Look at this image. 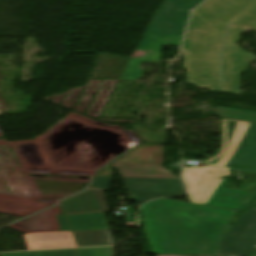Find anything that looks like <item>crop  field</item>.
<instances>
[{
    "instance_id": "1",
    "label": "crop field",
    "mask_w": 256,
    "mask_h": 256,
    "mask_svg": "<svg viewBox=\"0 0 256 256\" xmlns=\"http://www.w3.org/2000/svg\"><path fill=\"white\" fill-rule=\"evenodd\" d=\"M228 23L220 89V53ZM246 24L256 29V0H208L193 11L182 48L189 83L240 94L239 73L253 60L252 54L237 46L242 31L239 26Z\"/></svg>"
},
{
    "instance_id": "2",
    "label": "crop field",
    "mask_w": 256,
    "mask_h": 256,
    "mask_svg": "<svg viewBox=\"0 0 256 256\" xmlns=\"http://www.w3.org/2000/svg\"><path fill=\"white\" fill-rule=\"evenodd\" d=\"M153 254L218 255L234 211L160 199L141 208Z\"/></svg>"
},
{
    "instance_id": "3",
    "label": "crop field",
    "mask_w": 256,
    "mask_h": 256,
    "mask_svg": "<svg viewBox=\"0 0 256 256\" xmlns=\"http://www.w3.org/2000/svg\"><path fill=\"white\" fill-rule=\"evenodd\" d=\"M203 0H166L154 15L136 50L147 51L146 56L130 60L120 80H136L141 77V63H159L161 49L165 45L179 47L187 23V9H193Z\"/></svg>"
},
{
    "instance_id": "4",
    "label": "crop field",
    "mask_w": 256,
    "mask_h": 256,
    "mask_svg": "<svg viewBox=\"0 0 256 256\" xmlns=\"http://www.w3.org/2000/svg\"><path fill=\"white\" fill-rule=\"evenodd\" d=\"M209 171H212L209 174ZM224 176H231L229 171L193 166L183 169V178L188 189L189 201L234 211H242V205L251 193L227 188Z\"/></svg>"
},
{
    "instance_id": "5",
    "label": "crop field",
    "mask_w": 256,
    "mask_h": 256,
    "mask_svg": "<svg viewBox=\"0 0 256 256\" xmlns=\"http://www.w3.org/2000/svg\"><path fill=\"white\" fill-rule=\"evenodd\" d=\"M223 120L219 154L198 166L256 173V123ZM233 163L249 165L248 170L231 168Z\"/></svg>"
},
{
    "instance_id": "6",
    "label": "crop field",
    "mask_w": 256,
    "mask_h": 256,
    "mask_svg": "<svg viewBox=\"0 0 256 256\" xmlns=\"http://www.w3.org/2000/svg\"><path fill=\"white\" fill-rule=\"evenodd\" d=\"M164 147L162 145H140L97 176H113L117 167L121 177L178 178L161 165Z\"/></svg>"
},
{
    "instance_id": "7",
    "label": "crop field",
    "mask_w": 256,
    "mask_h": 256,
    "mask_svg": "<svg viewBox=\"0 0 256 256\" xmlns=\"http://www.w3.org/2000/svg\"><path fill=\"white\" fill-rule=\"evenodd\" d=\"M219 255L256 256V208L242 214L224 235Z\"/></svg>"
},
{
    "instance_id": "8",
    "label": "crop field",
    "mask_w": 256,
    "mask_h": 256,
    "mask_svg": "<svg viewBox=\"0 0 256 256\" xmlns=\"http://www.w3.org/2000/svg\"><path fill=\"white\" fill-rule=\"evenodd\" d=\"M124 183L131 201L135 202L180 196L185 193L180 180L126 178Z\"/></svg>"
},
{
    "instance_id": "9",
    "label": "crop field",
    "mask_w": 256,
    "mask_h": 256,
    "mask_svg": "<svg viewBox=\"0 0 256 256\" xmlns=\"http://www.w3.org/2000/svg\"><path fill=\"white\" fill-rule=\"evenodd\" d=\"M66 214L105 212L107 208L102 190L91 189L63 202Z\"/></svg>"
},
{
    "instance_id": "10",
    "label": "crop field",
    "mask_w": 256,
    "mask_h": 256,
    "mask_svg": "<svg viewBox=\"0 0 256 256\" xmlns=\"http://www.w3.org/2000/svg\"><path fill=\"white\" fill-rule=\"evenodd\" d=\"M29 250L76 247L71 232L26 234Z\"/></svg>"
},
{
    "instance_id": "11",
    "label": "crop field",
    "mask_w": 256,
    "mask_h": 256,
    "mask_svg": "<svg viewBox=\"0 0 256 256\" xmlns=\"http://www.w3.org/2000/svg\"><path fill=\"white\" fill-rule=\"evenodd\" d=\"M71 231L110 229L103 213L78 214L67 216ZM61 230L70 231L66 217L57 216Z\"/></svg>"
},
{
    "instance_id": "12",
    "label": "crop field",
    "mask_w": 256,
    "mask_h": 256,
    "mask_svg": "<svg viewBox=\"0 0 256 256\" xmlns=\"http://www.w3.org/2000/svg\"><path fill=\"white\" fill-rule=\"evenodd\" d=\"M79 247L114 245L110 230L73 232Z\"/></svg>"
},
{
    "instance_id": "13",
    "label": "crop field",
    "mask_w": 256,
    "mask_h": 256,
    "mask_svg": "<svg viewBox=\"0 0 256 256\" xmlns=\"http://www.w3.org/2000/svg\"><path fill=\"white\" fill-rule=\"evenodd\" d=\"M214 110L217 111L219 115H223L222 117L224 118L256 122V112L254 111H246V110L223 108V107H217Z\"/></svg>"
},
{
    "instance_id": "14",
    "label": "crop field",
    "mask_w": 256,
    "mask_h": 256,
    "mask_svg": "<svg viewBox=\"0 0 256 256\" xmlns=\"http://www.w3.org/2000/svg\"><path fill=\"white\" fill-rule=\"evenodd\" d=\"M1 256H76V250L0 254Z\"/></svg>"
},
{
    "instance_id": "15",
    "label": "crop field",
    "mask_w": 256,
    "mask_h": 256,
    "mask_svg": "<svg viewBox=\"0 0 256 256\" xmlns=\"http://www.w3.org/2000/svg\"><path fill=\"white\" fill-rule=\"evenodd\" d=\"M111 247L92 248V249H78L77 256H111Z\"/></svg>"
},
{
    "instance_id": "16",
    "label": "crop field",
    "mask_w": 256,
    "mask_h": 256,
    "mask_svg": "<svg viewBox=\"0 0 256 256\" xmlns=\"http://www.w3.org/2000/svg\"><path fill=\"white\" fill-rule=\"evenodd\" d=\"M111 178L105 177H96L92 187L101 188V189H109Z\"/></svg>"
},
{
    "instance_id": "17",
    "label": "crop field",
    "mask_w": 256,
    "mask_h": 256,
    "mask_svg": "<svg viewBox=\"0 0 256 256\" xmlns=\"http://www.w3.org/2000/svg\"><path fill=\"white\" fill-rule=\"evenodd\" d=\"M256 199V189L255 191L251 194V196L246 200L244 204L250 205L254 200Z\"/></svg>"
}]
</instances>
